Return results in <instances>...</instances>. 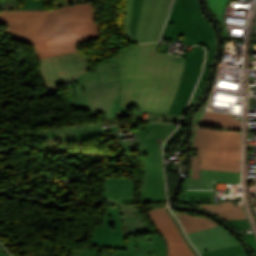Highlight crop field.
I'll return each mask as SVG.
<instances>
[{
  "instance_id": "crop-field-1",
  "label": "crop field",
  "mask_w": 256,
  "mask_h": 256,
  "mask_svg": "<svg viewBox=\"0 0 256 256\" xmlns=\"http://www.w3.org/2000/svg\"><path fill=\"white\" fill-rule=\"evenodd\" d=\"M0 23L8 24L13 38L34 46L37 60L79 50V44L99 39L101 33L92 3L52 11L0 12Z\"/></svg>"
},
{
  "instance_id": "crop-field-2",
  "label": "crop field",
  "mask_w": 256,
  "mask_h": 256,
  "mask_svg": "<svg viewBox=\"0 0 256 256\" xmlns=\"http://www.w3.org/2000/svg\"><path fill=\"white\" fill-rule=\"evenodd\" d=\"M157 51L158 43H148L119 52L121 106L167 113L177 92L185 59Z\"/></svg>"
},
{
  "instance_id": "crop-field-3",
  "label": "crop field",
  "mask_w": 256,
  "mask_h": 256,
  "mask_svg": "<svg viewBox=\"0 0 256 256\" xmlns=\"http://www.w3.org/2000/svg\"><path fill=\"white\" fill-rule=\"evenodd\" d=\"M133 180L106 178L101 198L107 201L106 210L101 228L93 229L90 245L126 249L125 235L153 232L141 212L136 210Z\"/></svg>"
},
{
  "instance_id": "crop-field-4",
  "label": "crop field",
  "mask_w": 256,
  "mask_h": 256,
  "mask_svg": "<svg viewBox=\"0 0 256 256\" xmlns=\"http://www.w3.org/2000/svg\"><path fill=\"white\" fill-rule=\"evenodd\" d=\"M94 68L99 71L97 74L87 72L65 84L70 105L77 110L104 114L105 120L125 115L131 107H120L118 53Z\"/></svg>"
},
{
  "instance_id": "crop-field-5",
  "label": "crop field",
  "mask_w": 256,
  "mask_h": 256,
  "mask_svg": "<svg viewBox=\"0 0 256 256\" xmlns=\"http://www.w3.org/2000/svg\"><path fill=\"white\" fill-rule=\"evenodd\" d=\"M175 127L176 125L153 123L139 130L140 141L137 150L144 164L142 202L166 201L161 144Z\"/></svg>"
},
{
  "instance_id": "crop-field-6",
  "label": "crop field",
  "mask_w": 256,
  "mask_h": 256,
  "mask_svg": "<svg viewBox=\"0 0 256 256\" xmlns=\"http://www.w3.org/2000/svg\"><path fill=\"white\" fill-rule=\"evenodd\" d=\"M179 34L184 35V45L199 44L216 52L215 31L203 17L198 0H175L161 40L174 43Z\"/></svg>"
},
{
  "instance_id": "crop-field-7",
  "label": "crop field",
  "mask_w": 256,
  "mask_h": 256,
  "mask_svg": "<svg viewBox=\"0 0 256 256\" xmlns=\"http://www.w3.org/2000/svg\"><path fill=\"white\" fill-rule=\"evenodd\" d=\"M195 147L201 169L240 172L241 132L198 128Z\"/></svg>"
},
{
  "instance_id": "crop-field-8",
  "label": "crop field",
  "mask_w": 256,
  "mask_h": 256,
  "mask_svg": "<svg viewBox=\"0 0 256 256\" xmlns=\"http://www.w3.org/2000/svg\"><path fill=\"white\" fill-rule=\"evenodd\" d=\"M172 1L127 0L123 21L125 37L137 43L158 41Z\"/></svg>"
},
{
  "instance_id": "crop-field-9",
  "label": "crop field",
  "mask_w": 256,
  "mask_h": 256,
  "mask_svg": "<svg viewBox=\"0 0 256 256\" xmlns=\"http://www.w3.org/2000/svg\"><path fill=\"white\" fill-rule=\"evenodd\" d=\"M85 57L76 51L38 61L43 80L48 90L46 94H55L57 86L63 85L90 70L91 67Z\"/></svg>"
},
{
  "instance_id": "crop-field-10",
  "label": "crop field",
  "mask_w": 256,
  "mask_h": 256,
  "mask_svg": "<svg viewBox=\"0 0 256 256\" xmlns=\"http://www.w3.org/2000/svg\"><path fill=\"white\" fill-rule=\"evenodd\" d=\"M157 233L167 245L168 256H195L186 245L182 235L167 215L165 208L146 211Z\"/></svg>"
},
{
  "instance_id": "crop-field-11",
  "label": "crop field",
  "mask_w": 256,
  "mask_h": 256,
  "mask_svg": "<svg viewBox=\"0 0 256 256\" xmlns=\"http://www.w3.org/2000/svg\"><path fill=\"white\" fill-rule=\"evenodd\" d=\"M127 250L115 253H106L102 247L93 246L89 250L79 252L78 256H166V245L158 234L150 235L149 238L139 240L138 245H134V238H130ZM72 245H69L63 256H68Z\"/></svg>"
},
{
  "instance_id": "crop-field-12",
  "label": "crop field",
  "mask_w": 256,
  "mask_h": 256,
  "mask_svg": "<svg viewBox=\"0 0 256 256\" xmlns=\"http://www.w3.org/2000/svg\"><path fill=\"white\" fill-rule=\"evenodd\" d=\"M187 235L199 253L240 244L235 237L221 226Z\"/></svg>"
},
{
  "instance_id": "crop-field-13",
  "label": "crop field",
  "mask_w": 256,
  "mask_h": 256,
  "mask_svg": "<svg viewBox=\"0 0 256 256\" xmlns=\"http://www.w3.org/2000/svg\"><path fill=\"white\" fill-rule=\"evenodd\" d=\"M204 49L192 46L191 52L187 53L186 64L179 86L194 87L203 64Z\"/></svg>"
},
{
  "instance_id": "crop-field-14",
  "label": "crop field",
  "mask_w": 256,
  "mask_h": 256,
  "mask_svg": "<svg viewBox=\"0 0 256 256\" xmlns=\"http://www.w3.org/2000/svg\"><path fill=\"white\" fill-rule=\"evenodd\" d=\"M204 208L223 219H247L243 208H238L232 202H221L220 205L192 204Z\"/></svg>"
},
{
  "instance_id": "crop-field-15",
  "label": "crop field",
  "mask_w": 256,
  "mask_h": 256,
  "mask_svg": "<svg viewBox=\"0 0 256 256\" xmlns=\"http://www.w3.org/2000/svg\"><path fill=\"white\" fill-rule=\"evenodd\" d=\"M193 89L194 88H188V87L178 88L177 95L167 113L166 120L180 122V119L184 113L186 104L190 99Z\"/></svg>"
},
{
  "instance_id": "crop-field-16",
  "label": "crop field",
  "mask_w": 256,
  "mask_h": 256,
  "mask_svg": "<svg viewBox=\"0 0 256 256\" xmlns=\"http://www.w3.org/2000/svg\"><path fill=\"white\" fill-rule=\"evenodd\" d=\"M201 124L219 125L225 128L241 129L242 121L235 119L233 115L218 112H205Z\"/></svg>"
},
{
  "instance_id": "crop-field-17",
  "label": "crop field",
  "mask_w": 256,
  "mask_h": 256,
  "mask_svg": "<svg viewBox=\"0 0 256 256\" xmlns=\"http://www.w3.org/2000/svg\"><path fill=\"white\" fill-rule=\"evenodd\" d=\"M214 57H215V52H207L206 63L204 65L203 74H202V77L198 83V86L193 94V97L188 106L187 112L197 101H199L201 99V96H202L203 92L205 91L206 82L210 75V68H211L212 61H213ZM187 112H186V114H187ZM183 121H184V118H183ZM183 121H182V123H183Z\"/></svg>"
},
{
  "instance_id": "crop-field-18",
  "label": "crop field",
  "mask_w": 256,
  "mask_h": 256,
  "mask_svg": "<svg viewBox=\"0 0 256 256\" xmlns=\"http://www.w3.org/2000/svg\"><path fill=\"white\" fill-rule=\"evenodd\" d=\"M179 220L186 233L218 226L217 223L211 220L195 216H189L186 214H181Z\"/></svg>"
},
{
  "instance_id": "crop-field-19",
  "label": "crop field",
  "mask_w": 256,
  "mask_h": 256,
  "mask_svg": "<svg viewBox=\"0 0 256 256\" xmlns=\"http://www.w3.org/2000/svg\"><path fill=\"white\" fill-rule=\"evenodd\" d=\"M200 179L221 180L240 183V173L201 170Z\"/></svg>"
},
{
  "instance_id": "crop-field-20",
  "label": "crop field",
  "mask_w": 256,
  "mask_h": 256,
  "mask_svg": "<svg viewBox=\"0 0 256 256\" xmlns=\"http://www.w3.org/2000/svg\"><path fill=\"white\" fill-rule=\"evenodd\" d=\"M208 4L211 12L213 13L217 21L220 23L226 39L229 38L228 32L222 20V17L228 4V0H208Z\"/></svg>"
},
{
  "instance_id": "crop-field-21",
  "label": "crop field",
  "mask_w": 256,
  "mask_h": 256,
  "mask_svg": "<svg viewBox=\"0 0 256 256\" xmlns=\"http://www.w3.org/2000/svg\"><path fill=\"white\" fill-rule=\"evenodd\" d=\"M201 256H247L241 245L201 253Z\"/></svg>"
},
{
  "instance_id": "crop-field-22",
  "label": "crop field",
  "mask_w": 256,
  "mask_h": 256,
  "mask_svg": "<svg viewBox=\"0 0 256 256\" xmlns=\"http://www.w3.org/2000/svg\"><path fill=\"white\" fill-rule=\"evenodd\" d=\"M21 9H46L43 0H26Z\"/></svg>"
},
{
  "instance_id": "crop-field-23",
  "label": "crop field",
  "mask_w": 256,
  "mask_h": 256,
  "mask_svg": "<svg viewBox=\"0 0 256 256\" xmlns=\"http://www.w3.org/2000/svg\"><path fill=\"white\" fill-rule=\"evenodd\" d=\"M182 131L183 127L179 126V128L174 132V134L167 140V142L164 144V154L171 147L172 142H174L176 138L180 137Z\"/></svg>"
},
{
  "instance_id": "crop-field-24",
  "label": "crop field",
  "mask_w": 256,
  "mask_h": 256,
  "mask_svg": "<svg viewBox=\"0 0 256 256\" xmlns=\"http://www.w3.org/2000/svg\"><path fill=\"white\" fill-rule=\"evenodd\" d=\"M192 160H193V165H192L190 178L199 179V170H200L199 157H192Z\"/></svg>"
},
{
  "instance_id": "crop-field-25",
  "label": "crop field",
  "mask_w": 256,
  "mask_h": 256,
  "mask_svg": "<svg viewBox=\"0 0 256 256\" xmlns=\"http://www.w3.org/2000/svg\"><path fill=\"white\" fill-rule=\"evenodd\" d=\"M234 229L250 228L248 220H226Z\"/></svg>"
},
{
  "instance_id": "crop-field-26",
  "label": "crop field",
  "mask_w": 256,
  "mask_h": 256,
  "mask_svg": "<svg viewBox=\"0 0 256 256\" xmlns=\"http://www.w3.org/2000/svg\"><path fill=\"white\" fill-rule=\"evenodd\" d=\"M17 1L16 0H5L0 2V11L2 10H10L17 9L16 8Z\"/></svg>"
},
{
  "instance_id": "crop-field-27",
  "label": "crop field",
  "mask_w": 256,
  "mask_h": 256,
  "mask_svg": "<svg viewBox=\"0 0 256 256\" xmlns=\"http://www.w3.org/2000/svg\"><path fill=\"white\" fill-rule=\"evenodd\" d=\"M165 208H166V211H167V213L169 214V216H170V217L172 218V220L174 221L176 227L178 228V230H179V231L181 232V234L183 235V237H184V239L186 240L188 246L191 248V250L194 252V254H195L196 256H199V255L196 253V251L193 249V247L190 245V243L188 242V240H187V238H186L184 232L182 231V229H181V227L179 226L178 222L176 221L175 217L171 214L169 208L166 207V206H165Z\"/></svg>"
},
{
  "instance_id": "crop-field-28",
  "label": "crop field",
  "mask_w": 256,
  "mask_h": 256,
  "mask_svg": "<svg viewBox=\"0 0 256 256\" xmlns=\"http://www.w3.org/2000/svg\"><path fill=\"white\" fill-rule=\"evenodd\" d=\"M243 238L249 243L250 247L256 254V237L255 234L244 235Z\"/></svg>"
},
{
  "instance_id": "crop-field-29",
  "label": "crop field",
  "mask_w": 256,
  "mask_h": 256,
  "mask_svg": "<svg viewBox=\"0 0 256 256\" xmlns=\"http://www.w3.org/2000/svg\"><path fill=\"white\" fill-rule=\"evenodd\" d=\"M83 1H89V0H71V2L67 3V0L65 1H59V3L52 5L53 8H56V7H60V6H63V5H66V4H73V3H78V2H83Z\"/></svg>"
},
{
  "instance_id": "crop-field-30",
  "label": "crop field",
  "mask_w": 256,
  "mask_h": 256,
  "mask_svg": "<svg viewBox=\"0 0 256 256\" xmlns=\"http://www.w3.org/2000/svg\"><path fill=\"white\" fill-rule=\"evenodd\" d=\"M0 256H4V255L1 253V251H0Z\"/></svg>"
}]
</instances>
